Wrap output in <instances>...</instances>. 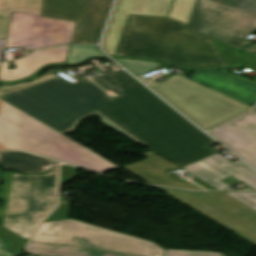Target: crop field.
Returning <instances> with one entry per match:
<instances>
[{
    "label": "crop field",
    "instance_id": "8a807250",
    "mask_svg": "<svg viewBox=\"0 0 256 256\" xmlns=\"http://www.w3.org/2000/svg\"><path fill=\"white\" fill-rule=\"evenodd\" d=\"M71 85L54 78L0 96L50 127L66 134L91 114L100 122L182 167L214 154L217 144L124 71Z\"/></svg>",
    "mask_w": 256,
    "mask_h": 256
},
{
    "label": "crop field",
    "instance_id": "ac0d7876",
    "mask_svg": "<svg viewBox=\"0 0 256 256\" xmlns=\"http://www.w3.org/2000/svg\"><path fill=\"white\" fill-rule=\"evenodd\" d=\"M186 26L169 18L130 16L116 56L188 68L229 67L211 39Z\"/></svg>",
    "mask_w": 256,
    "mask_h": 256
},
{
    "label": "crop field",
    "instance_id": "34b2d1b8",
    "mask_svg": "<svg viewBox=\"0 0 256 256\" xmlns=\"http://www.w3.org/2000/svg\"><path fill=\"white\" fill-rule=\"evenodd\" d=\"M0 142L9 149L27 150L100 173L118 168L5 101L0 112Z\"/></svg>",
    "mask_w": 256,
    "mask_h": 256
},
{
    "label": "crop field",
    "instance_id": "412701ff",
    "mask_svg": "<svg viewBox=\"0 0 256 256\" xmlns=\"http://www.w3.org/2000/svg\"><path fill=\"white\" fill-rule=\"evenodd\" d=\"M42 0H0L4 48L27 50L69 44L76 22L41 17Z\"/></svg>",
    "mask_w": 256,
    "mask_h": 256
},
{
    "label": "crop field",
    "instance_id": "f4fd0767",
    "mask_svg": "<svg viewBox=\"0 0 256 256\" xmlns=\"http://www.w3.org/2000/svg\"><path fill=\"white\" fill-rule=\"evenodd\" d=\"M32 241L143 256H165V250L150 241L69 219L42 223Z\"/></svg>",
    "mask_w": 256,
    "mask_h": 256
},
{
    "label": "crop field",
    "instance_id": "dd49c442",
    "mask_svg": "<svg viewBox=\"0 0 256 256\" xmlns=\"http://www.w3.org/2000/svg\"><path fill=\"white\" fill-rule=\"evenodd\" d=\"M149 86L203 130L250 108V105L247 106L179 75L162 84L154 82Z\"/></svg>",
    "mask_w": 256,
    "mask_h": 256
},
{
    "label": "crop field",
    "instance_id": "e52e79f7",
    "mask_svg": "<svg viewBox=\"0 0 256 256\" xmlns=\"http://www.w3.org/2000/svg\"><path fill=\"white\" fill-rule=\"evenodd\" d=\"M56 202L57 168L45 175L13 173L4 227L29 240L35 226Z\"/></svg>",
    "mask_w": 256,
    "mask_h": 256
},
{
    "label": "crop field",
    "instance_id": "d8731c3e",
    "mask_svg": "<svg viewBox=\"0 0 256 256\" xmlns=\"http://www.w3.org/2000/svg\"><path fill=\"white\" fill-rule=\"evenodd\" d=\"M158 189L256 244V211L229 195Z\"/></svg>",
    "mask_w": 256,
    "mask_h": 256
},
{
    "label": "crop field",
    "instance_id": "5a996713",
    "mask_svg": "<svg viewBox=\"0 0 256 256\" xmlns=\"http://www.w3.org/2000/svg\"><path fill=\"white\" fill-rule=\"evenodd\" d=\"M187 29L240 49L250 43L242 37L256 30V18L197 0Z\"/></svg>",
    "mask_w": 256,
    "mask_h": 256
},
{
    "label": "crop field",
    "instance_id": "3316defc",
    "mask_svg": "<svg viewBox=\"0 0 256 256\" xmlns=\"http://www.w3.org/2000/svg\"><path fill=\"white\" fill-rule=\"evenodd\" d=\"M112 0H43L42 16L77 21L71 43H98Z\"/></svg>",
    "mask_w": 256,
    "mask_h": 256
},
{
    "label": "crop field",
    "instance_id": "28ad6ade",
    "mask_svg": "<svg viewBox=\"0 0 256 256\" xmlns=\"http://www.w3.org/2000/svg\"><path fill=\"white\" fill-rule=\"evenodd\" d=\"M172 0H117L103 40L104 50L115 56L129 15L166 17Z\"/></svg>",
    "mask_w": 256,
    "mask_h": 256
},
{
    "label": "crop field",
    "instance_id": "d1516ede",
    "mask_svg": "<svg viewBox=\"0 0 256 256\" xmlns=\"http://www.w3.org/2000/svg\"><path fill=\"white\" fill-rule=\"evenodd\" d=\"M182 168L219 189H232L219 181L229 175L256 189V173L252 169L219 153Z\"/></svg>",
    "mask_w": 256,
    "mask_h": 256
},
{
    "label": "crop field",
    "instance_id": "22f410ed",
    "mask_svg": "<svg viewBox=\"0 0 256 256\" xmlns=\"http://www.w3.org/2000/svg\"><path fill=\"white\" fill-rule=\"evenodd\" d=\"M209 133L256 169V108Z\"/></svg>",
    "mask_w": 256,
    "mask_h": 256
},
{
    "label": "crop field",
    "instance_id": "cbeb9de0",
    "mask_svg": "<svg viewBox=\"0 0 256 256\" xmlns=\"http://www.w3.org/2000/svg\"><path fill=\"white\" fill-rule=\"evenodd\" d=\"M144 156L149 159L122 168L135 174L148 183L203 190V188L189 181H179L167 174L179 168L178 166L152 152L144 153Z\"/></svg>",
    "mask_w": 256,
    "mask_h": 256
},
{
    "label": "crop field",
    "instance_id": "5142ce71",
    "mask_svg": "<svg viewBox=\"0 0 256 256\" xmlns=\"http://www.w3.org/2000/svg\"><path fill=\"white\" fill-rule=\"evenodd\" d=\"M189 78L252 106L256 103V85L218 71H196Z\"/></svg>",
    "mask_w": 256,
    "mask_h": 256
},
{
    "label": "crop field",
    "instance_id": "d9b57169",
    "mask_svg": "<svg viewBox=\"0 0 256 256\" xmlns=\"http://www.w3.org/2000/svg\"><path fill=\"white\" fill-rule=\"evenodd\" d=\"M69 46L43 49L29 56L14 61L16 69L8 70V62L2 63L0 79L13 80L26 77L38 69L41 65L49 62H65Z\"/></svg>",
    "mask_w": 256,
    "mask_h": 256
},
{
    "label": "crop field",
    "instance_id": "733c2abd",
    "mask_svg": "<svg viewBox=\"0 0 256 256\" xmlns=\"http://www.w3.org/2000/svg\"><path fill=\"white\" fill-rule=\"evenodd\" d=\"M0 165L24 173H42L58 163L24 152H1Z\"/></svg>",
    "mask_w": 256,
    "mask_h": 256
},
{
    "label": "crop field",
    "instance_id": "4a817a6b",
    "mask_svg": "<svg viewBox=\"0 0 256 256\" xmlns=\"http://www.w3.org/2000/svg\"><path fill=\"white\" fill-rule=\"evenodd\" d=\"M27 248L33 253L46 256H135L34 242H30Z\"/></svg>",
    "mask_w": 256,
    "mask_h": 256
},
{
    "label": "crop field",
    "instance_id": "bc2a9ffb",
    "mask_svg": "<svg viewBox=\"0 0 256 256\" xmlns=\"http://www.w3.org/2000/svg\"><path fill=\"white\" fill-rule=\"evenodd\" d=\"M103 56L96 45L71 46L65 65L79 64L87 58Z\"/></svg>",
    "mask_w": 256,
    "mask_h": 256
},
{
    "label": "crop field",
    "instance_id": "214f88e0",
    "mask_svg": "<svg viewBox=\"0 0 256 256\" xmlns=\"http://www.w3.org/2000/svg\"><path fill=\"white\" fill-rule=\"evenodd\" d=\"M196 0H173L168 17L188 23Z\"/></svg>",
    "mask_w": 256,
    "mask_h": 256
},
{
    "label": "crop field",
    "instance_id": "92a150f3",
    "mask_svg": "<svg viewBox=\"0 0 256 256\" xmlns=\"http://www.w3.org/2000/svg\"><path fill=\"white\" fill-rule=\"evenodd\" d=\"M120 64H122L125 68L135 74L138 78H140L145 83L148 82V79L141 77L140 75L147 73L149 71L154 70L153 68L164 67L158 62H150V61H139V60H127V59H118L115 58Z\"/></svg>",
    "mask_w": 256,
    "mask_h": 256
},
{
    "label": "crop field",
    "instance_id": "dafd665d",
    "mask_svg": "<svg viewBox=\"0 0 256 256\" xmlns=\"http://www.w3.org/2000/svg\"><path fill=\"white\" fill-rule=\"evenodd\" d=\"M0 235L5 237L11 247L12 252L20 253L23 252L24 247L27 242L26 239L20 237L19 235L11 232L10 230L0 226Z\"/></svg>",
    "mask_w": 256,
    "mask_h": 256
},
{
    "label": "crop field",
    "instance_id": "00972430",
    "mask_svg": "<svg viewBox=\"0 0 256 256\" xmlns=\"http://www.w3.org/2000/svg\"><path fill=\"white\" fill-rule=\"evenodd\" d=\"M230 67H238L242 60L238 56V49L213 40Z\"/></svg>",
    "mask_w": 256,
    "mask_h": 256
},
{
    "label": "crop field",
    "instance_id": "a9b5d70f",
    "mask_svg": "<svg viewBox=\"0 0 256 256\" xmlns=\"http://www.w3.org/2000/svg\"><path fill=\"white\" fill-rule=\"evenodd\" d=\"M224 5L256 16V0H230Z\"/></svg>",
    "mask_w": 256,
    "mask_h": 256
},
{
    "label": "crop field",
    "instance_id": "4177f3b9",
    "mask_svg": "<svg viewBox=\"0 0 256 256\" xmlns=\"http://www.w3.org/2000/svg\"><path fill=\"white\" fill-rule=\"evenodd\" d=\"M11 176H12V173L10 172L4 173L5 183L0 187V198L6 201L4 207L0 209V220L2 221V224H1L2 226H3L5 211H6L8 195L10 191Z\"/></svg>",
    "mask_w": 256,
    "mask_h": 256
},
{
    "label": "crop field",
    "instance_id": "730fd06b",
    "mask_svg": "<svg viewBox=\"0 0 256 256\" xmlns=\"http://www.w3.org/2000/svg\"><path fill=\"white\" fill-rule=\"evenodd\" d=\"M256 210V192H225Z\"/></svg>",
    "mask_w": 256,
    "mask_h": 256
},
{
    "label": "crop field",
    "instance_id": "eef30255",
    "mask_svg": "<svg viewBox=\"0 0 256 256\" xmlns=\"http://www.w3.org/2000/svg\"><path fill=\"white\" fill-rule=\"evenodd\" d=\"M166 256H224L212 252L166 250Z\"/></svg>",
    "mask_w": 256,
    "mask_h": 256
},
{
    "label": "crop field",
    "instance_id": "ae1a2a85",
    "mask_svg": "<svg viewBox=\"0 0 256 256\" xmlns=\"http://www.w3.org/2000/svg\"><path fill=\"white\" fill-rule=\"evenodd\" d=\"M77 176H78V173H77L76 168H72V167H68V166L61 167L60 184L67 182L70 179L77 177Z\"/></svg>",
    "mask_w": 256,
    "mask_h": 256
},
{
    "label": "crop field",
    "instance_id": "d3111659",
    "mask_svg": "<svg viewBox=\"0 0 256 256\" xmlns=\"http://www.w3.org/2000/svg\"><path fill=\"white\" fill-rule=\"evenodd\" d=\"M68 208H69V206H59V208L45 221L67 218L68 217Z\"/></svg>",
    "mask_w": 256,
    "mask_h": 256
},
{
    "label": "crop field",
    "instance_id": "750c4746",
    "mask_svg": "<svg viewBox=\"0 0 256 256\" xmlns=\"http://www.w3.org/2000/svg\"><path fill=\"white\" fill-rule=\"evenodd\" d=\"M242 56H243V58H245L247 60L245 66L256 70V55H253L251 53H248V52H245L242 50ZM242 68H244V67H242Z\"/></svg>",
    "mask_w": 256,
    "mask_h": 256
},
{
    "label": "crop field",
    "instance_id": "bd1437ed",
    "mask_svg": "<svg viewBox=\"0 0 256 256\" xmlns=\"http://www.w3.org/2000/svg\"><path fill=\"white\" fill-rule=\"evenodd\" d=\"M52 65H64V63H49V64H46V65L41 66V67H40L38 70H36L32 75H30V76H28V77H26V78L14 80V81H3V80H0V82H3V83H14V82L26 80V79H28V78H31V77H33V76L38 75L46 66H52Z\"/></svg>",
    "mask_w": 256,
    "mask_h": 256
},
{
    "label": "crop field",
    "instance_id": "1d83c4d3",
    "mask_svg": "<svg viewBox=\"0 0 256 256\" xmlns=\"http://www.w3.org/2000/svg\"><path fill=\"white\" fill-rule=\"evenodd\" d=\"M0 256H13V254L8 251L3 239L1 238H0Z\"/></svg>",
    "mask_w": 256,
    "mask_h": 256
},
{
    "label": "crop field",
    "instance_id": "120bbe31",
    "mask_svg": "<svg viewBox=\"0 0 256 256\" xmlns=\"http://www.w3.org/2000/svg\"><path fill=\"white\" fill-rule=\"evenodd\" d=\"M192 182H194V183H196V184H198V185H200V186H202V187H204L208 190H216L217 189V188L211 186L210 184H208L204 181H192Z\"/></svg>",
    "mask_w": 256,
    "mask_h": 256
},
{
    "label": "crop field",
    "instance_id": "d32e631a",
    "mask_svg": "<svg viewBox=\"0 0 256 256\" xmlns=\"http://www.w3.org/2000/svg\"><path fill=\"white\" fill-rule=\"evenodd\" d=\"M243 50L251 52L253 54H256V44L255 45H251V46H249L247 48H244Z\"/></svg>",
    "mask_w": 256,
    "mask_h": 256
},
{
    "label": "crop field",
    "instance_id": "5866460e",
    "mask_svg": "<svg viewBox=\"0 0 256 256\" xmlns=\"http://www.w3.org/2000/svg\"><path fill=\"white\" fill-rule=\"evenodd\" d=\"M6 39H0V61L2 59L3 47Z\"/></svg>",
    "mask_w": 256,
    "mask_h": 256
},
{
    "label": "crop field",
    "instance_id": "028f5c9d",
    "mask_svg": "<svg viewBox=\"0 0 256 256\" xmlns=\"http://www.w3.org/2000/svg\"><path fill=\"white\" fill-rule=\"evenodd\" d=\"M220 72H223V73H226V74H230V75H233V76H236V77H239V78H242V79H244V80H247V79H245V78H243V77H240V76H237V75H234V74H231V73H228V72H225V71H222V70H220ZM241 79V80H242ZM248 81V80H247ZM250 82V81H249ZM252 83H255L256 84V82H252Z\"/></svg>",
    "mask_w": 256,
    "mask_h": 256
},
{
    "label": "crop field",
    "instance_id": "e1f06a70",
    "mask_svg": "<svg viewBox=\"0 0 256 256\" xmlns=\"http://www.w3.org/2000/svg\"><path fill=\"white\" fill-rule=\"evenodd\" d=\"M212 1H215V2H218L220 4H223V3L227 2L228 0H212Z\"/></svg>",
    "mask_w": 256,
    "mask_h": 256
},
{
    "label": "crop field",
    "instance_id": "0bd39190",
    "mask_svg": "<svg viewBox=\"0 0 256 256\" xmlns=\"http://www.w3.org/2000/svg\"><path fill=\"white\" fill-rule=\"evenodd\" d=\"M4 149H7V148L0 143V150H4Z\"/></svg>",
    "mask_w": 256,
    "mask_h": 256
},
{
    "label": "crop field",
    "instance_id": "b80d0937",
    "mask_svg": "<svg viewBox=\"0 0 256 256\" xmlns=\"http://www.w3.org/2000/svg\"><path fill=\"white\" fill-rule=\"evenodd\" d=\"M1 102H2V99H0V104H1Z\"/></svg>",
    "mask_w": 256,
    "mask_h": 256
},
{
    "label": "crop field",
    "instance_id": "c035e120",
    "mask_svg": "<svg viewBox=\"0 0 256 256\" xmlns=\"http://www.w3.org/2000/svg\"><path fill=\"white\" fill-rule=\"evenodd\" d=\"M253 33V32H252ZM251 34V33H250ZM249 35V34H248Z\"/></svg>",
    "mask_w": 256,
    "mask_h": 256
}]
</instances>
